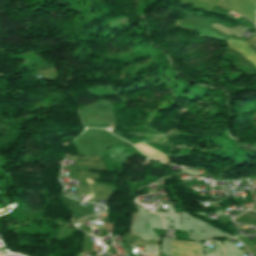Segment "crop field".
<instances>
[{
	"mask_svg": "<svg viewBox=\"0 0 256 256\" xmlns=\"http://www.w3.org/2000/svg\"><path fill=\"white\" fill-rule=\"evenodd\" d=\"M0 256H5V255L0 254Z\"/></svg>",
	"mask_w": 256,
	"mask_h": 256,
	"instance_id": "412701ff",
	"label": "crop field"
},
{
	"mask_svg": "<svg viewBox=\"0 0 256 256\" xmlns=\"http://www.w3.org/2000/svg\"><path fill=\"white\" fill-rule=\"evenodd\" d=\"M170 256H200L199 245L194 242L173 241Z\"/></svg>",
	"mask_w": 256,
	"mask_h": 256,
	"instance_id": "8a807250",
	"label": "crop field"
},
{
	"mask_svg": "<svg viewBox=\"0 0 256 256\" xmlns=\"http://www.w3.org/2000/svg\"><path fill=\"white\" fill-rule=\"evenodd\" d=\"M235 222L256 226V213L248 211L234 219Z\"/></svg>",
	"mask_w": 256,
	"mask_h": 256,
	"instance_id": "34b2d1b8",
	"label": "crop field"
},
{
	"mask_svg": "<svg viewBox=\"0 0 256 256\" xmlns=\"http://www.w3.org/2000/svg\"><path fill=\"white\" fill-rule=\"evenodd\" d=\"M229 47L238 50L256 66V53L245 42L230 38Z\"/></svg>",
	"mask_w": 256,
	"mask_h": 256,
	"instance_id": "ac0d7876",
	"label": "crop field"
}]
</instances>
